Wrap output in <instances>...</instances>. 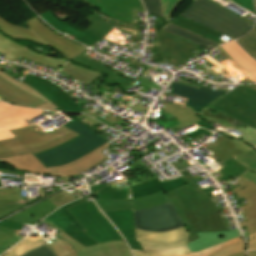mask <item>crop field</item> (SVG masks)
Here are the masks:
<instances>
[{"mask_svg":"<svg viewBox=\"0 0 256 256\" xmlns=\"http://www.w3.org/2000/svg\"><path fill=\"white\" fill-rule=\"evenodd\" d=\"M63 72L71 75L79 82L90 85L92 82L96 81L103 74L100 72L93 71L91 69L85 68L83 66L75 65L72 61L68 62L64 67Z\"/></svg>","mask_w":256,"mask_h":256,"instance_id":"36","label":"crop field"},{"mask_svg":"<svg viewBox=\"0 0 256 256\" xmlns=\"http://www.w3.org/2000/svg\"><path fill=\"white\" fill-rule=\"evenodd\" d=\"M255 2H256V0H255Z\"/></svg>","mask_w":256,"mask_h":256,"instance_id":"71","label":"crop field"},{"mask_svg":"<svg viewBox=\"0 0 256 256\" xmlns=\"http://www.w3.org/2000/svg\"><path fill=\"white\" fill-rule=\"evenodd\" d=\"M95 199V198H94ZM102 211L132 209L131 199L129 200H100L95 199Z\"/></svg>","mask_w":256,"mask_h":256,"instance_id":"43","label":"crop field"},{"mask_svg":"<svg viewBox=\"0 0 256 256\" xmlns=\"http://www.w3.org/2000/svg\"><path fill=\"white\" fill-rule=\"evenodd\" d=\"M182 178L187 184L166 194L169 199L177 197L184 208L189 223L186 226L190 234L188 243L199 238L195 232L227 231L221 214L217 215V207L192 176L187 174Z\"/></svg>","mask_w":256,"mask_h":256,"instance_id":"1","label":"crop field"},{"mask_svg":"<svg viewBox=\"0 0 256 256\" xmlns=\"http://www.w3.org/2000/svg\"><path fill=\"white\" fill-rule=\"evenodd\" d=\"M56 208L46 199L8 219V221L25 223L28 225H34L45 216L50 214Z\"/></svg>","mask_w":256,"mask_h":256,"instance_id":"26","label":"crop field"},{"mask_svg":"<svg viewBox=\"0 0 256 256\" xmlns=\"http://www.w3.org/2000/svg\"><path fill=\"white\" fill-rule=\"evenodd\" d=\"M183 184H185V182L181 177L168 180V181H163V182H160L158 179H156L139 186L131 187V192L134 198V197L154 193L161 189H163L164 192H166L170 189H173Z\"/></svg>","mask_w":256,"mask_h":256,"instance_id":"31","label":"crop field"},{"mask_svg":"<svg viewBox=\"0 0 256 256\" xmlns=\"http://www.w3.org/2000/svg\"><path fill=\"white\" fill-rule=\"evenodd\" d=\"M42 112L0 103V140L15 137L8 130L34 124L30 119Z\"/></svg>","mask_w":256,"mask_h":256,"instance_id":"11","label":"crop field"},{"mask_svg":"<svg viewBox=\"0 0 256 256\" xmlns=\"http://www.w3.org/2000/svg\"><path fill=\"white\" fill-rule=\"evenodd\" d=\"M0 31H2L4 34H6L10 38L32 40L37 43L47 45L44 42H42L31 30L11 25L5 20H3L1 17H0Z\"/></svg>","mask_w":256,"mask_h":256,"instance_id":"38","label":"crop field"},{"mask_svg":"<svg viewBox=\"0 0 256 256\" xmlns=\"http://www.w3.org/2000/svg\"><path fill=\"white\" fill-rule=\"evenodd\" d=\"M57 236L69 242L78 256H132L125 241L102 243L85 248L63 232L57 231Z\"/></svg>","mask_w":256,"mask_h":256,"instance_id":"16","label":"crop field"},{"mask_svg":"<svg viewBox=\"0 0 256 256\" xmlns=\"http://www.w3.org/2000/svg\"><path fill=\"white\" fill-rule=\"evenodd\" d=\"M69 211L87 230L85 233L99 243L124 240L93 201L82 202Z\"/></svg>","mask_w":256,"mask_h":256,"instance_id":"8","label":"crop field"},{"mask_svg":"<svg viewBox=\"0 0 256 256\" xmlns=\"http://www.w3.org/2000/svg\"><path fill=\"white\" fill-rule=\"evenodd\" d=\"M22 82L36 89L48 100L52 101L62 111H83V109L76 105V103L70 98V96L66 95L67 93L65 94L62 89L56 87L53 83L41 77L28 74Z\"/></svg>","mask_w":256,"mask_h":256,"instance_id":"12","label":"crop field"},{"mask_svg":"<svg viewBox=\"0 0 256 256\" xmlns=\"http://www.w3.org/2000/svg\"><path fill=\"white\" fill-rule=\"evenodd\" d=\"M239 251H244V242L241 237L207 248L199 253H191L189 255L190 256H227Z\"/></svg>","mask_w":256,"mask_h":256,"instance_id":"33","label":"crop field"},{"mask_svg":"<svg viewBox=\"0 0 256 256\" xmlns=\"http://www.w3.org/2000/svg\"><path fill=\"white\" fill-rule=\"evenodd\" d=\"M226 59L231 58L221 47L217 49Z\"/></svg>","mask_w":256,"mask_h":256,"instance_id":"64","label":"crop field"},{"mask_svg":"<svg viewBox=\"0 0 256 256\" xmlns=\"http://www.w3.org/2000/svg\"><path fill=\"white\" fill-rule=\"evenodd\" d=\"M128 167L120 173L127 179L130 186L156 179L140 160L128 165Z\"/></svg>","mask_w":256,"mask_h":256,"instance_id":"34","label":"crop field"},{"mask_svg":"<svg viewBox=\"0 0 256 256\" xmlns=\"http://www.w3.org/2000/svg\"><path fill=\"white\" fill-rule=\"evenodd\" d=\"M232 1L238 4L239 6L243 7L244 9L250 11L252 14L256 15L253 7V0H232Z\"/></svg>","mask_w":256,"mask_h":256,"instance_id":"55","label":"crop field"},{"mask_svg":"<svg viewBox=\"0 0 256 256\" xmlns=\"http://www.w3.org/2000/svg\"><path fill=\"white\" fill-rule=\"evenodd\" d=\"M70 119L71 118H75V119H77L79 122H81V123H83L84 125H86V126H88L89 128H94V127H96V126H98V125H101L100 123H98V122H96V121H94V120H92V119H90V118H88V117H86V116H84V115H82V114H80V115H78V116H68ZM93 130V129H92Z\"/></svg>","mask_w":256,"mask_h":256,"instance_id":"54","label":"crop field"},{"mask_svg":"<svg viewBox=\"0 0 256 256\" xmlns=\"http://www.w3.org/2000/svg\"><path fill=\"white\" fill-rule=\"evenodd\" d=\"M24 225V224H23ZM22 224L4 221L0 223V243L16 234Z\"/></svg>","mask_w":256,"mask_h":256,"instance_id":"49","label":"crop field"},{"mask_svg":"<svg viewBox=\"0 0 256 256\" xmlns=\"http://www.w3.org/2000/svg\"><path fill=\"white\" fill-rule=\"evenodd\" d=\"M210 85L211 84H209L206 88L200 87V89L197 90L193 87L171 82L170 87L172 89L169 93L211 104L226 92L213 91L209 89Z\"/></svg>","mask_w":256,"mask_h":256,"instance_id":"23","label":"crop field"},{"mask_svg":"<svg viewBox=\"0 0 256 256\" xmlns=\"http://www.w3.org/2000/svg\"><path fill=\"white\" fill-rule=\"evenodd\" d=\"M217 190H218V189H217ZM204 191L209 195L210 198L213 197L212 194L210 193V192H214L212 186H210V187L204 189ZM215 191H216V190H215Z\"/></svg>","mask_w":256,"mask_h":256,"instance_id":"63","label":"crop field"},{"mask_svg":"<svg viewBox=\"0 0 256 256\" xmlns=\"http://www.w3.org/2000/svg\"><path fill=\"white\" fill-rule=\"evenodd\" d=\"M42 222L49 224L51 227L58 229L59 231H63L67 226L71 225L68 218L58 210L43 219Z\"/></svg>","mask_w":256,"mask_h":256,"instance_id":"45","label":"crop field"},{"mask_svg":"<svg viewBox=\"0 0 256 256\" xmlns=\"http://www.w3.org/2000/svg\"><path fill=\"white\" fill-rule=\"evenodd\" d=\"M221 133H223L224 136H226V137L232 138V142L236 145L235 147H237L240 150H242L243 152L255 157L250 160V159L242 156L243 155L242 154L234 159L238 160L240 163H242L243 165H245L246 167H248L250 169L246 174H244L242 176H244L256 183V151H255V149L252 148L249 143L242 141L241 139H239L233 135H230L225 132H221Z\"/></svg>","mask_w":256,"mask_h":256,"instance_id":"30","label":"crop field"},{"mask_svg":"<svg viewBox=\"0 0 256 256\" xmlns=\"http://www.w3.org/2000/svg\"><path fill=\"white\" fill-rule=\"evenodd\" d=\"M201 133H204L208 136H211L212 133L206 131V130H203V129H197L195 132L191 133V134H188V136H190L191 138L201 134Z\"/></svg>","mask_w":256,"mask_h":256,"instance_id":"60","label":"crop field"},{"mask_svg":"<svg viewBox=\"0 0 256 256\" xmlns=\"http://www.w3.org/2000/svg\"><path fill=\"white\" fill-rule=\"evenodd\" d=\"M250 87L256 89V85H249Z\"/></svg>","mask_w":256,"mask_h":256,"instance_id":"69","label":"crop field"},{"mask_svg":"<svg viewBox=\"0 0 256 256\" xmlns=\"http://www.w3.org/2000/svg\"><path fill=\"white\" fill-rule=\"evenodd\" d=\"M200 120H202V119H201V118H198V119H196V120H194V121H192V122H190V123H188V124H186V125H184V126H182V127H180L179 125H177V126L173 127V129L177 132V131H179V130H181V129L187 127V126H190V125H192V124H195L196 122H198V121H200Z\"/></svg>","mask_w":256,"mask_h":256,"instance_id":"61","label":"crop field"},{"mask_svg":"<svg viewBox=\"0 0 256 256\" xmlns=\"http://www.w3.org/2000/svg\"><path fill=\"white\" fill-rule=\"evenodd\" d=\"M136 229L153 232L171 231L183 226L171 202L159 207L134 211Z\"/></svg>","mask_w":256,"mask_h":256,"instance_id":"9","label":"crop field"},{"mask_svg":"<svg viewBox=\"0 0 256 256\" xmlns=\"http://www.w3.org/2000/svg\"><path fill=\"white\" fill-rule=\"evenodd\" d=\"M233 190L237 198L244 197L247 204L256 201V184L253 182H249Z\"/></svg>","mask_w":256,"mask_h":256,"instance_id":"48","label":"crop field"},{"mask_svg":"<svg viewBox=\"0 0 256 256\" xmlns=\"http://www.w3.org/2000/svg\"><path fill=\"white\" fill-rule=\"evenodd\" d=\"M11 133L18 139L0 141V158L29 152L41 153L80 136L63 126L44 131L36 124L13 130Z\"/></svg>","mask_w":256,"mask_h":256,"instance_id":"2","label":"crop field"},{"mask_svg":"<svg viewBox=\"0 0 256 256\" xmlns=\"http://www.w3.org/2000/svg\"><path fill=\"white\" fill-rule=\"evenodd\" d=\"M136 231V240L139 241L145 252L133 250L135 256H189L185 226L171 232L153 233Z\"/></svg>","mask_w":256,"mask_h":256,"instance_id":"6","label":"crop field"},{"mask_svg":"<svg viewBox=\"0 0 256 256\" xmlns=\"http://www.w3.org/2000/svg\"><path fill=\"white\" fill-rule=\"evenodd\" d=\"M95 9L110 17L134 25L132 11L145 12L140 0H86Z\"/></svg>","mask_w":256,"mask_h":256,"instance_id":"13","label":"crop field"},{"mask_svg":"<svg viewBox=\"0 0 256 256\" xmlns=\"http://www.w3.org/2000/svg\"><path fill=\"white\" fill-rule=\"evenodd\" d=\"M239 231L233 230L228 232H214V233H197L199 239L187 244L191 252H199L207 247L225 242L235 237H239Z\"/></svg>","mask_w":256,"mask_h":256,"instance_id":"28","label":"crop field"},{"mask_svg":"<svg viewBox=\"0 0 256 256\" xmlns=\"http://www.w3.org/2000/svg\"><path fill=\"white\" fill-rule=\"evenodd\" d=\"M182 0H162L163 16L170 17L175 8ZM193 2L195 0H192Z\"/></svg>","mask_w":256,"mask_h":256,"instance_id":"52","label":"crop field"},{"mask_svg":"<svg viewBox=\"0 0 256 256\" xmlns=\"http://www.w3.org/2000/svg\"><path fill=\"white\" fill-rule=\"evenodd\" d=\"M0 52L6 53L4 60L16 61L21 56L39 63H43L47 66L60 69L62 65L67 62L61 59L44 56L37 54L28 48H25L10 40L6 35L0 32Z\"/></svg>","mask_w":256,"mask_h":256,"instance_id":"15","label":"crop field"},{"mask_svg":"<svg viewBox=\"0 0 256 256\" xmlns=\"http://www.w3.org/2000/svg\"><path fill=\"white\" fill-rule=\"evenodd\" d=\"M109 143H105L101 147L97 148L95 151L81 157L80 159L61 167H50L45 168L34 156L32 153L12 156L4 159H0V162L7 163L12 168L21 172H30L34 174L41 175H57L62 177H70L76 174H79L90 167L94 166L98 162L106 158L105 155L100 152L107 147Z\"/></svg>","mask_w":256,"mask_h":256,"instance_id":"5","label":"crop field"},{"mask_svg":"<svg viewBox=\"0 0 256 256\" xmlns=\"http://www.w3.org/2000/svg\"><path fill=\"white\" fill-rule=\"evenodd\" d=\"M57 256H65L74 252L72 246L59 238H49L45 241Z\"/></svg>","mask_w":256,"mask_h":256,"instance_id":"47","label":"crop field"},{"mask_svg":"<svg viewBox=\"0 0 256 256\" xmlns=\"http://www.w3.org/2000/svg\"><path fill=\"white\" fill-rule=\"evenodd\" d=\"M55 207H59L69 201L76 199L72 194L67 193L66 191L61 192L51 198H49Z\"/></svg>","mask_w":256,"mask_h":256,"instance_id":"51","label":"crop field"},{"mask_svg":"<svg viewBox=\"0 0 256 256\" xmlns=\"http://www.w3.org/2000/svg\"><path fill=\"white\" fill-rule=\"evenodd\" d=\"M241 82H250V81L246 78V79H244V80L241 81Z\"/></svg>","mask_w":256,"mask_h":256,"instance_id":"68","label":"crop field"},{"mask_svg":"<svg viewBox=\"0 0 256 256\" xmlns=\"http://www.w3.org/2000/svg\"><path fill=\"white\" fill-rule=\"evenodd\" d=\"M23 226L21 227V229L23 228ZM20 230H19V232H20ZM18 233L0 244V255L3 252H5L7 249H9L12 245H14L16 242H18L24 238V236L18 235Z\"/></svg>","mask_w":256,"mask_h":256,"instance_id":"53","label":"crop field"},{"mask_svg":"<svg viewBox=\"0 0 256 256\" xmlns=\"http://www.w3.org/2000/svg\"><path fill=\"white\" fill-rule=\"evenodd\" d=\"M83 113H85V114H87V115H89V116H91V117L96 118L97 120L103 122L104 124H106V125L109 126V127L112 125V124H110L109 122L103 120L101 117H99L98 115H96V114H94V113H92V112H89V111L86 110V111H84Z\"/></svg>","mask_w":256,"mask_h":256,"instance_id":"59","label":"crop field"},{"mask_svg":"<svg viewBox=\"0 0 256 256\" xmlns=\"http://www.w3.org/2000/svg\"><path fill=\"white\" fill-rule=\"evenodd\" d=\"M29 27L46 43L60 51L69 59L77 56L85 48L67 40L48 29L37 17L27 20Z\"/></svg>","mask_w":256,"mask_h":256,"instance_id":"14","label":"crop field"},{"mask_svg":"<svg viewBox=\"0 0 256 256\" xmlns=\"http://www.w3.org/2000/svg\"><path fill=\"white\" fill-rule=\"evenodd\" d=\"M249 256H256V252H249Z\"/></svg>","mask_w":256,"mask_h":256,"instance_id":"66","label":"crop field"},{"mask_svg":"<svg viewBox=\"0 0 256 256\" xmlns=\"http://www.w3.org/2000/svg\"><path fill=\"white\" fill-rule=\"evenodd\" d=\"M207 106H209V104L190 99H186L183 106L175 104L171 105L167 103L162 110L172 114L173 116L165 118L164 120L167 122L176 116L179 118L177 119V121L180 123L179 125L182 126L189 121L200 117L196 114Z\"/></svg>","mask_w":256,"mask_h":256,"instance_id":"21","label":"crop field"},{"mask_svg":"<svg viewBox=\"0 0 256 256\" xmlns=\"http://www.w3.org/2000/svg\"><path fill=\"white\" fill-rule=\"evenodd\" d=\"M0 95L10 100L16 105L35 107L39 104L47 102L38 98L32 97L17 87L9 84L5 79L0 77Z\"/></svg>","mask_w":256,"mask_h":256,"instance_id":"25","label":"crop field"},{"mask_svg":"<svg viewBox=\"0 0 256 256\" xmlns=\"http://www.w3.org/2000/svg\"><path fill=\"white\" fill-rule=\"evenodd\" d=\"M0 76L5 78L8 82H10L11 84L17 86L18 88L22 89L23 91L35 96V97H38L40 99H46L45 97H43L41 94H39L37 91H35L34 89L28 87L27 85H25L24 83H20L14 79H12L11 77H9L8 75H6L5 73H3L1 70H0ZM47 100V99H46ZM35 108H38V109H49V110H60L58 109L53 103L51 102H47V103H44L42 105H39Z\"/></svg>","mask_w":256,"mask_h":256,"instance_id":"40","label":"crop field"},{"mask_svg":"<svg viewBox=\"0 0 256 256\" xmlns=\"http://www.w3.org/2000/svg\"><path fill=\"white\" fill-rule=\"evenodd\" d=\"M163 28L168 30V31H171V32H173V33H175V34H177L179 36H182V37H184V38H186V39H188V40H190L192 42H195V43H197L199 45H203L205 47L208 46V45H210L212 47L219 46L218 44H216V43H214V42H212V41H210L208 39H205V38H203V37H201V36H199V35H197L195 33H192L190 31L184 30V29L179 28V27H177V26H175L173 24H170V23H168Z\"/></svg>","mask_w":256,"mask_h":256,"instance_id":"39","label":"crop field"},{"mask_svg":"<svg viewBox=\"0 0 256 256\" xmlns=\"http://www.w3.org/2000/svg\"><path fill=\"white\" fill-rule=\"evenodd\" d=\"M91 24L86 29L104 37L112 29V26L104 21L96 12L85 19Z\"/></svg>","mask_w":256,"mask_h":256,"instance_id":"41","label":"crop field"},{"mask_svg":"<svg viewBox=\"0 0 256 256\" xmlns=\"http://www.w3.org/2000/svg\"><path fill=\"white\" fill-rule=\"evenodd\" d=\"M249 250H256V232L249 234V244H248Z\"/></svg>","mask_w":256,"mask_h":256,"instance_id":"57","label":"crop field"},{"mask_svg":"<svg viewBox=\"0 0 256 256\" xmlns=\"http://www.w3.org/2000/svg\"><path fill=\"white\" fill-rule=\"evenodd\" d=\"M41 17L51 26H53L55 29H57L60 32H65L67 34L75 36V40L87 45L92 46L93 44L97 43L102 37L89 32L88 30L80 31L70 25H68L65 22L60 21L51 11H46L42 14H40Z\"/></svg>","mask_w":256,"mask_h":256,"instance_id":"20","label":"crop field"},{"mask_svg":"<svg viewBox=\"0 0 256 256\" xmlns=\"http://www.w3.org/2000/svg\"><path fill=\"white\" fill-rule=\"evenodd\" d=\"M82 201L83 200L80 199V200L71 202V203L59 208L58 210L63 212L65 214V216H67L73 224L72 226L66 228L63 232H65L67 235H69L70 237L77 240L79 243H81L85 247H88V246L96 245V244H98V242H96L94 239L90 238L88 235H86L83 232V231H85V229L67 210V208L74 206Z\"/></svg>","mask_w":256,"mask_h":256,"instance_id":"29","label":"crop field"},{"mask_svg":"<svg viewBox=\"0 0 256 256\" xmlns=\"http://www.w3.org/2000/svg\"><path fill=\"white\" fill-rule=\"evenodd\" d=\"M65 127L82 136L47 152L36 154L35 157L46 167L67 164L108 142L99 137L97 133L79 123L75 119Z\"/></svg>","mask_w":256,"mask_h":256,"instance_id":"4","label":"crop field"},{"mask_svg":"<svg viewBox=\"0 0 256 256\" xmlns=\"http://www.w3.org/2000/svg\"><path fill=\"white\" fill-rule=\"evenodd\" d=\"M72 61L75 62L76 64L83 65L85 67H88L93 70L100 71L104 74H107L108 77L106 79V83L109 85L120 84L121 87L124 88V87L132 84L131 82L127 81L126 79H124L120 76H117L116 72L87 59L86 57H84L81 54L78 55L77 57H75L74 59H72Z\"/></svg>","mask_w":256,"mask_h":256,"instance_id":"35","label":"crop field"},{"mask_svg":"<svg viewBox=\"0 0 256 256\" xmlns=\"http://www.w3.org/2000/svg\"><path fill=\"white\" fill-rule=\"evenodd\" d=\"M226 165L223 167L224 169L219 171L224 177L221 178V181L229 178V177H239L245 171L248 170L245 166L240 164L239 162L233 160L232 158L228 159L227 161L219 164L220 166Z\"/></svg>","mask_w":256,"mask_h":256,"instance_id":"42","label":"crop field"},{"mask_svg":"<svg viewBox=\"0 0 256 256\" xmlns=\"http://www.w3.org/2000/svg\"><path fill=\"white\" fill-rule=\"evenodd\" d=\"M3 256H56L39 236L32 240L26 238L16 244Z\"/></svg>","mask_w":256,"mask_h":256,"instance_id":"22","label":"crop field"},{"mask_svg":"<svg viewBox=\"0 0 256 256\" xmlns=\"http://www.w3.org/2000/svg\"><path fill=\"white\" fill-rule=\"evenodd\" d=\"M228 54L238 62L245 70L251 72L253 75L249 76L248 78L256 82V61L250 58L242 48L237 45L234 41H231L227 44L222 46Z\"/></svg>","mask_w":256,"mask_h":256,"instance_id":"32","label":"crop field"},{"mask_svg":"<svg viewBox=\"0 0 256 256\" xmlns=\"http://www.w3.org/2000/svg\"><path fill=\"white\" fill-rule=\"evenodd\" d=\"M248 221L241 222V228L245 227L248 233L256 231V202L241 207Z\"/></svg>","mask_w":256,"mask_h":256,"instance_id":"44","label":"crop field"},{"mask_svg":"<svg viewBox=\"0 0 256 256\" xmlns=\"http://www.w3.org/2000/svg\"><path fill=\"white\" fill-rule=\"evenodd\" d=\"M137 65L146 67L144 70L141 71V73H143V74H145V72H146L149 68H151V69H153V70H155V71H157V72H158V71H161V69H159V68H154V67H152V66H147V65H144V64H137V63H131L130 65H128V67L134 69ZM161 74H163V73H161ZM164 75H167V74H164Z\"/></svg>","mask_w":256,"mask_h":256,"instance_id":"58","label":"crop field"},{"mask_svg":"<svg viewBox=\"0 0 256 256\" xmlns=\"http://www.w3.org/2000/svg\"><path fill=\"white\" fill-rule=\"evenodd\" d=\"M230 256H245V252L236 253Z\"/></svg>","mask_w":256,"mask_h":256,"instance_id":"65","label":"crop field"},{"mask_svg":"<svg viewBox=\"0 0 256 256\" xmlns=\"http://www.w3.org/2000/svg\"><path fill=\"white\" fill-rule=\"evenodd\" d=\"M91 194L101 199H129L130 191L125 179L90 187Z\"/></svg>","mask_w":256,"mask_h":256,"instance_id":"24","label":"crop field"},{"mask_svg":"<svg viewBox=\"0 0 256 256\" xmlns=\"http://www.w3.org/2000/svg\"><path fill=\"white\" fill-rule=\"evenodd\" d=\"M4 98L0 97V100H3Z\"/></svg>","mask_w":256,"mask_h":256,"instance_id":"70","label":"crop field"},{"mask_svg":"<svg viewBox=\"0 0 256 256\" xmlns=\"http://www.w3.org/2000/svg\"><path fill=\"white\" fill-rule=\"evenodd\" d=\"M67 256H77L76 252L70 254V255H67Z\"/></svg>","mask_w":256,"mask_h":256,"instance_id":"67","label":"crop field"},{"mask_svg":"<svg viewBox=\"0 0 256 256\" xmlns=\"http://www.w3.org/2000/svg\"><path fill=\"white\" fill-rule=\"evenodd\" d=\"M208 108L225 113L256 128V90L239 85Z\"/></svg>","mask_w":256,"mask_h":256,"instance_id":"7","label":"crop field"},{"mask_svg":"<svg viewBox=\"0 0 256 256\" xmlns=\"http://www.w3.org/2000/svg\"><path fill=\"white\" fill-rule=\"evenodd\" d=\"M209 112H210V109L206 108L203 111H201L198 115H200L207 123L213 121V122L219 123L221 126L236 129L243 133L240 137L256 144L255 128H252L242 122L234 120L222 113L214 112V114H211Z\"/></svg>","mask_w":256,"mask_h":256,"instance_id":"19","label":"crop field"},{"mask_svg":"<svg viewBox=\"0 0 256 256\" xmlns=\"http://www.w3.org/2000/svg\"><path fill=\"white\" fill-rule=\"evenodd\" d=\"M197 125H199L202 128H207L209 130H212V128L204 120L199 122V123H197Z\"/></svg>","mask_w":256,"mask_h":256,"instance_id":"62","label":"crop field"},{"mask_svg":"<svg viewBox=\"0 0 256 256\" xmlns=\"http://www.w3.org/2000/svg\"><path fill=\"white\" fill-rule=\"evenodd\" d=\"M171 23L176 24L182 28H185L187 30L193 31L203 37L209 38L217 43H224L219 38L223 36L222 34H219L211 29L205 28L195 22H191L185 18H182L180 16L174 18ZM231 40V38L229 39Z\"/></svg>","mask_w":256,"mask_h":256,"instance_id":"37","label":"crop field"},{"mask_svg":"<svg viewBox=\"0 0 256 256\" xmlns=\"http://www.w3.org/2000/svg\"><path fill=\"white\" fill-rule=\"evenodd\" d=\"M39 194L40 197L37 199H26V197H21L20 188L0 189V218L27 206L28 202H35L48 196L42 188Z\"/></svg>","mask_w":256,"mask_h":256,"instance_id":"17","label":"crop field"},{"mask_svg":"<svg viewBox=\"0 0 256 256\" xmlns=\"http://www.w3.org/2000/svg\"><path fill=\"white\" fill-rule=\"evenodd\" d=\"M169 201H171L172 204L174 205L177 213L183 220L184 224L185 225L188 224L185 214H184V211H183L179 201L177 200V198L168 200V197L163 192V190H161L157 193H154V194H150V195H146L143 197L133 199V209L139 210V209H143V208L159 206V205L167 203Z\"/></svg>","mask_w":256,"mask_h":256,"instance_id":"27","label":"crop field"},{"mask_svg":"<svg viewBox=\"0 0 256 256\" xmlns=\"http://www.w3.org/2000/svg\"><path fill=\"white\" fill-rule=\"evenodd\" d=\"M180 15L233 39L239 38L253 28L242 18L208 0H196Z\"/></svg>","mask_w":256,"mask_h":256,"instance_id":"3","label":"crop field"},{"mask_svg":"<svg viewBox=\"0 0 256 256\" xmlns=\"http://www.w3.org/2000/svg\"><path fill=\"white\" fill-rule=\"evenodd\" d=\"M161 47H155V59H170L169 64L179 65L191 59L192 51L200 46L163 30L156 32ZM151 49V48H149Z\"/></svg>","mask_w":256,"mask_h":256,"instance_id":"10","label":"crop field"},{"mask_svg":"<svg viewBox=\"0 0 256 256\" xmlns=\"http://www.w3.org/2000/svg\"><path fill=\"white\" fill-rule=\"evenodd\" d=\"M256 7V3H255ZM241 47L256 59V26L253 30L242 38L236 40Z\"/></svg>","mask_w":256,"mask_h":256,"instance_id":"46","label":"crop field"},{"mask_svg":"<svg viewBox=\"0 0 256 256\" xmlns=\"http://www.w3.org/2000/svg\"><path fill=\"white\" fill-rule=\"evenodd\" d=\"M140 85L150 87V88H154V89H157V90L161 91V88L158 85H156L153 82H150V81L146 80L143 77H140Z\"/></svg>","mask_w":256,"mask_h":256,"instance_id":"56","label":"crop field"},{"mask_svg":"<svg viewBox=\"0 0 256 256\" xmlns=\"http://www.w3.org/2000/svg\"><path fill=\"white\" fill-rule=\"evenodd\" d=\"M147 13L162 16L161 0H143Z\"/></svg>","mask_w":256,"mask_h":256,"instance_id":"50","label":"crop field"},{"mask_svg":"<svg viewBox=\"0 0 256 256\" xmlns=\"http://www.w3.org/2000/svg\"><path fill=\"white\" fill-rule=\"evenodd\" d=\"M104 214L117 227L130 248L143 251L140 244L135 241L132 210L104 212Z\"/></svg>","mask_w":256,"mask_h":256,"instance_id":"18","label":"crop field"}]
</instances>
